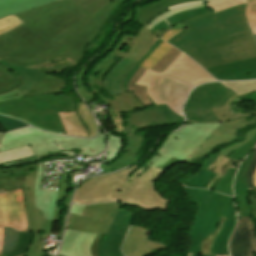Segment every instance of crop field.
Returning a JSON list of instances; mask_svg holds the SVG:
<instances>
[{"label":"crop field","instance_id":"1","mask_svg":"<svg viewBox=\"0 0 256 256\" xmlns=\"http://www.w3.org/2000/svg\"><path fill=\"white\" fill-rule=\"evenodd\" d=\"M125 0H60L16 14L24 23L0 36V59L15 66L48 58L76 64ZM21 83L0 65V94Z\"/></svg>","mask_w":256,"mask_h":256},{"label":"crop field","instance_id":"2","mask_svg":"<svg viewBox=\"0 0 256 256\" xmlns=\"http://www.w3.org/2000/svg\"><path fill=\"white\" fill-rule=\"evenodd\" d=\"M245 7L242 4L182 22L187 28L167 42L185 51L205 69L254 58L256 43L247 25Z\"/></svg>","mask_w":256,"mask_h":256},{"label":"crop field","instance_id":"3","mask_svg":"<svg viewBox=\"0 0 256 256\" xmlns=\"http://www.w3.org/2000/svg\"><path fill=\"white\" fill-rule=\"evenodd\" d=\"M220 123L185 124L178 131L169 133L150 160L157 166L150 167L136 180L126 184L118 194L119 201L145 210L165 209L169 199H163L161 193L156 191V178L170 166L190 155Z\"/></svg>","mask_w":256,"mask_h":256},{"label":"crop field","instance_id":"4","mask_svg":"<svg viewBox=\"0 0 256 256\" xmlns=\"http://www.w3.org/2000/svg\"><path fill=\"white\" fill-rule=\"evenodd\" d=\"M43 165L44 163L39 165L38 171L30 173L22 187L28 219V231L34 232L32 244L23 254L25 256H47L43 252V239L47 238L48 235L54 234L56 235L55 239L60 240L64 229L66 216L62 220L61 232H51L53 223L58 221L62 210L57 203L63 198L68 189L67 176L61 175L59 191L39 190ZM72 191L68 193V197L63 202L66 208H68Z\"/></svg>","mask_w":256,"mask_h":256},{"label":"crop field","instance_id":"5","mask_svg":"<svg viewBox=\"0 0 256 256\" xmlns=\"http://www.w3.org/2000/svg\"><path fill=\"white\" fill-rule=\"evenodd\" d=\"M76 111L68 95H43L24 98L16 89L0 95V113L25 121L48 132L65 134L57 112Z\"/></svg>","mask_w":256,"mask_h":256},{"label":"crop field","instance_id":"6","mask_svg":"<svg viewBox=\"0 0 256 256\" xmlns=\"http://www.w3.org/2000/svg\"><path fill=\"white\" fill-rule=\"evenodd\" d=\"M27 144L30 145L36 157L33 156L34 158L5 163L3 166L38 160L51 153H71L94 156L104 151V136L99 133V137L95 139L82 140L43 133L33 128H25L5 134L0 145V152Z\"/></svg>","mask_w":256,"mask_h":256},{"label":"crop field","instance_id":"7","mask_svg":"<svg viewBox=\"0 0 256 256\" xmlns=\"http://www.w3.org/2000/svg\"><path fill=\"white\" fill-rule=\"evenodd\" d=\"M209 0H159L136 8V22L158 37L169 29L185 28L180 22L211 12L205 6Z\"/></svg>","mask_w":256,"mask_h":256},{"label":"crop field","instance_id":"8","mask_svg":"<svg viewBox=\"0 0 256 256\" xmlns=\"http://www.w3.org/2000/svg\"><path fill=\"white\" fill-rule=\"evenodd\" d=\"M141 164L142 162H139L121 171L85 181L77 190L73 203L93 204L105 201L119 202L117 199L119 190L132 179L129 178L130 175Z\"/></svg>","mask_w":256,"mask_h":256},{"label":"crop field","instance_id":"9","mask_svg":"<svg viewBox=\"0 0 256 256\" xmlns=\"http://www.w3.org/2000/svg\"><path fill=\"white\" fill-rule=\"evenodd\" d=\"M234 94L219 82L198 86L191 91L184 106L187 123L218 121L211 108L222 107Z\"/></svg>","mask_w":256,"mask_h":256},{"label":"crop field","instance_id":"10","mask_svg":"<svg viewBox=\"0 0 256 256\" xmlns=\"http://www.w3.org/2000/svg\"><path fill=\"white\" fill-rule=\"evenodd\" d=\"M126 122L128 125L122 128L129 133L125 135L128 146L124 149L122 156L111 164L115 171L142 158L137 154L143 147L144 139L143 136L136 135L137 130L166 125L151 108L127 113Z\"/></svg>","mask_w":256,"mask_h":256},{"label":"crop field","instance_id":"11","mask_svg":"<svg viewBox=\"0 0 256 256\" xmlns=\"http://www.w3.org/2000/svg\"><path fill=\"white\" fill-rule=\"evenodd\" d=\"M191 202L198 205L195 221L188 233L189 236L204 240L214 232L221 217L215 216L218 193L185 188Z\"/></svg>","mask_w":256,"mask_h":256},{"label":"crop field","instance_id":"12","mask_svg":"<svg viewBox=\"0 0 256 256\" xmlns=\"http://www.w3.org/2000/svg\"><path fill=\"white\" fill-rule=\"evenodd\" d=\"M155 35L146 29H142L132 49L126 56L108 73L104 87L112 94L122 93L121 81L126 73L138 62L145 51L150 48L157 39Z\"/></svg>","mask_w":256,"mask_h":256},{"label":"crop field","instance_id":"13","mask_svg":"<svg viewBox=\"0 0 256 256\" xmlns=\"http://www.w3.org/2000/svg\"><path fill=\"white\" fill-rule=\"evenodd\" d=\"M120 57L113 54H109L91 73L88 81L91 85L92 92L96 93L100 97V100L112 106L115 110L119 112H129L135 111L142 108V106L133 96L132 92H127L123 94L112 95L114 100L103 97L99 90L103 89V74L108 71L111 66L119 60Z\"/></svg>","mask_w":256,"mask_h":256},{"label":"crop field","instance_id":"14","mask_svg":"<svg viewBox=\"0 0 256 256\" xmlns=\"http://www.w3.org/2000/svg\"><path fill=\"white\" fill-rule=\"evenodd\" d=\"M0 64L7 67L13 73H15L22 81L17 90L25 97L28 92L47 74L45 72H57L64 71L70 63L67 60L52 64L48 59L42 60L38 63L29 64L25 66L15 67L9 63L0 60Z\"/></svg>","mask_w":256,"mask_h":256},{"label":"crop field","instance_id":"15","mask_svg":"<svg viewBox=\"0 0 256 256\" xmlns=\"http://www.w3.org/2000/svg\"><path fill=\"white\" fill-rule=\"evenodd\" d=\"M193 87L160 74L152 87V91L160 104L166 103L173 111L182 116L181 107Z\"/></svg>","mask_w":256,"mask_h":256},{"label":"crop field","instance_id":"16","mask_svg":"<svg viewBox=\"0 0 256 256\" xmlns=\"http://www.w3.org/2000/svg\"><path fill=\"white\" fill-rule=\"evenodd\" d=\"M0 226L27 231L22 189L0 194Z\"/></svg>","mask_w":256,"mask_h":256},{"label":"crop field","instance_id":"17","mask_svg":"<svg viewBox=\"0 0 256 256\" xmlns=\"http://www.w3.org/2000/svg\"><path fill=\"white\" fill-rule=\"evenodd\" d=\"M162 73L194 86L216 80L182 53Z\"/></svg>","mask_w":256,"mask_h":256},{"label":"crop field","instance_id":"18","mask_svg":"<svg viewBox=\"0 0 256 256\" xmlns=\"http://www.w3.org/2000/svg\"><path fill=\"white\" fill-rule=\"evenodd\" d=\"M149 231L153 230L138 226H131L122 246L124 255L147 256L164 251L165 246L163 244L148 240L149 236L146 234Z\"/></svg>","mask_w":256,"mask_h":256},{"label":"crop field","instance_id":"19","mask_svg":"<svg viewBox=\"0 0 256 256\" xmlns=\"http://www.w3.org/2000/svg\"><path fill=\"white\" fill-rule=\"evenodd\" d=\"M255 124L256 115L242 119L222 122L199 146V148H203L213 152L217 146L237 140V131L243 130L248 125H251V127H253Z\"/></svg>","mask_w":256,"mask_h":256},{"label":"crop field","instance_id":"20","mask_svg":"<svg viewBox=\"0 0 256 256\" xmlns=\"http://www.w3.org/2000/svg\"><path fill=\"white\" fill-rule=\"evenodd\" d=\"M238 218L241 221H238L230 239V254L231 256H252V251L256 252V232L253 227V221L249 218Z\"/></svg>","mask_w":256,"mask_h":256},{"label":"crop field","instance_id":"21","mask_svg":"<svg viewBox=\"0 0 256 256\" xmlns=\"http://www.w3.org/2000/svg\"><path fill=\"white\" fill-rule=\"evenodd\" d=\"M238 164L239 161L228 159L220 155L208 168V170L219 175L207 184L206 189L233 196L232 181Z\"/></svg>","mask_w":256,"mask_h":256},{"label":"crop field","instance_id":"22","mask_svg":"<svg viewBox=\"0 0 256 256\" xmlns=\"http://www.w3.org/2000/svg\"><path fill=\"white\" fill-rule=\"evenodd\" d=\"M207 71L221 80L256 79V58L215 66Z\"/></svg>","mask_w":256,"mask_h":256},{"label":"crop field","instance_id":"23","mask_svg":"<svg viewBox=\"0 0 256 256\" xmlns=\"http://www.w3.org/2000/svg\"><path fill=\"white\" fill-rule=\"evenodd\" d=\"M96 235L66 229L61 253L69 256H91L90 247Z\"/></svg>","mask_w":256,"mask_h":256},{"label":"crop field","instance_id":"24","mask_svg":"<svg viewBox=\"0 0 256 256\" xmlns=\"http://www.w3.org/2000/svg\"><path fill=\"white\" fill-rule=\"evenodd\" d=\"M129 226L113 221L106 233L107 236L98 245L99 256H123L120 246Z\"/></svg>","mask_w":256,"mask_h":256},{"label":"crop field","instance_id":"25","mask_svg":"<svg viewBox=\"0 0 256 256\" xmlns=\"http://www.w3.org/2000/svg\"><path fill=\"white\" fill-rule=\"evenodd\" d=\"M253 152L254 150L251 151L240 164L234 183L236 211H240V216L249 218H251V212L246 198L248 195V190L245 182V174L250 164Z\"/></svg>","mask_w":256,"mask_h":256},{"label":"crop field","instance_id":"26","mask_svg":"<svg viewBox=\"0 0 256 256\" xmlns=\"http://www.w3.org/2000/svg\"><path fill=\"white\" fill-rule=\"evenodd\" d=\"M121 206L123 205H119L115 202H106L87 206H78L73 204L70 213L80 216L111 220Z\"/></svg>","mask_w":256,"mask_h":256},{"label":"crop field","instance_id":"27","mask_svg":"<svg viewBox=\"0 0 256 256\" xmlns=\"http://www.w3.org/2000/svg\"><path fill=\"white\" fill-rule=\"evenodd\" d=\"M235 224H236V212L233 207V198H232L223 227L212 244L211 251H210L211 254L229 255L228 249H227V241L235 227Z\"/></svg>","mask_w":256,"mask_h":256},{"label":"crop field","instance_id":"28","mask_svg":"<svg viewBox=\"0 0 256 256\" xmlns=\"http://www.w3.org/2000/svg\"><path fill=\"white\" fill-rule=\"evenodd\" d=\"M111 221L69 215L68 229L84 231L94 234H105Z\"/></svg>","mask_w":256,"mask_h":256},{"label":"crop field","instance_id":"29","mask_svg":"<svg viewBox=\"0 0 256 256\" xmlns=\"http://www.w3.org/2000/svg\"><path fill=\"white\" fill-rule=\"evenodd\" d=\"M56 0H0V18Z\"/></svg>","mask_w":256,"mask_h":256},{"label":"crop field","instance_id":"30","mask_svg":"<svg viewBox=\"0 0 256 256\" xmlns=\"http://www.w3.org/2000/svg\"><path fill=\"white\" fill-rule=\"evenodd\" d=\"M66 84V81L58 76L47 75L32 89L30 93H28L26 97L61 92Z\"/></svg>","mask_w":256,"mask_h":256},{"label":"crop field","instance_id":"31","mask_svg":"<svg viewBox=\"0 0 256 256\" xmlns=\"http://www.w3.org/2000/svg\"><path fill=\"white\" fill-rule=\"evenodd\" d=\"M58 114L66 129L67 135L89 137L88 132L77 112H62Z\"/></svg>","mask_w":256,"mask_h":256},{"label":"crop field","instance_id":"32","mask_svg":"<svg viewBox=\"0 0 256 256\" xmlns=\"http://www.w3.org/2000/svg\"><path fill=\"white\" fill-rule=\"evenodd\" d=\"M233 102L242 103V101L235 94L233 97L229 98V100L224 104L222 108L212 109L215 116L219 119V121L237 119V118H242V117L256 114V113H252V114L235 113L231 111L230 107H234L232 106Z\"/></svg>","mask_w":256,"mask_h":256},{"label":"crop field","instance_id":"33","mask_svg":"<svg viewBox=\"0 0 256 256\" xmlns=\"http://www.w3.org/2000/svg\"><path fill=\"white\" fill-rule=\"evenodd\" d=\"M146 68L140 67L136 73L132 76L130 83L128 85V91H132L136 99L144 106L152 105V102L148 98L144 86L135 84L141 75L145 72Z\"/></svg>","mask_w":256,"mask_h":256},{"label":"crop field","instance_id":"34","mask_svg":"<svg viewBox=\"0 0 256 256\" xmlns=\"http://www.w3.org/2000/svg\"><path fill=\"white\" fill-rule=\"evenodd\" d=\"M220 83L227 89H232L241 100L248 97L249 94L256 92V81Z\"/></svg>","mask_w":256,"mask_h":256},{"label":"crop field","instance_id":"35","mask_svg":"<svg viewBox=\"0 0 256 256\" xmlns=\"http://www.w3.org/2000/svg\"><path fill=\"white\" fill-rule=\"evenodd\" d=\"M30 147L27 145L18 149L0 153V165L5 162L18 161L26 158L33 157Z\"/></svg>","mask_w":256,"mask_h":256},{"label":"crop field","instance_id":"36","mask_svg":"<svg viewBox=\"0 0 256 256\" xmlns=\"http://www.w3.org/2000/svg\"><path fill=\"white\" fill-rule=\"evenodd\" d=\"M77 112L79 113L80 117L82 118L84 124L86 125L90 137L95 136L97 132V127L94 121V118L88 108L85 106L83 102L76 103ZM77 113V114H78Z\"/></svg>","mask_w":256,"mask_h":256},{"label":"crop field","instance_id":"37","mask_svg":"<svg viewBox=\"0 0 256 256\" xmlns=\"http://www.w3.org/2000/svg\"><path fill=\"white\" fill-rule=\"evenodd\" d=\"M153 111L167 124H174L184 122V118L174 113L166 104L160 105L153 109Z\"/></svg>","mask_w":256,"mask_h":256},{"label":"crop field","instance_id":"38","mask_svg":"<svg viewBox=\"0 0 256 256\" xmlns=\"http://www.w3.org/2000/svg\"><path fill=\"white\" fill-rule=\"evenodd\" d=\"M19 237V232L11 228H3V243L1 253L10 252L14 249Z\"/></svg>","mask_w":256,"mask_h":256},{"label":"crop field","instance_id":"39","mask_svg":"<svg viewBox=\"0 0 256 256\" xmlns=\"http://www.w3.org/2000/svg\"><path fill=\"white\" fill-rule=\"evenodd\" d=\"M217 174L212 173L208 170H200L197 174L193 176L190 182L187 184L189 187H197V188H204L210 180L214 179Z\"/></svg>","mask_w":256,"mask_h":256},{"label":"crop field","instance_id":"40","mask_svg":"<svg viewBox=\"0 0 256 256\" xmlns=\"http://www.w3.org/2000/svg\"><path fill=\"white\" fill-rule=\"evenodd\" d=\"M158 75H159V73L147 69L146 72L142 75V77L137 82V84L146 86V91H147L151 101L156 106H158L160 104L157 102V100L153 96L152 91H151V86H152L153 82L155 81V79L158 77Z\"/></svg>","mask_w":256,"mask_h":256},{"label":"crop field","instance_id":"41","mask_svg":"<svg viewBox=\"0 0 256 256\" xmlns=\"http://www.w3.org/2000/svg\"><path fill=\"white\" fill-rule=\"evenodd\" d=\"M108 133V155L106 158V163H108L110 160L114 159L118 153L120 152V149L122 147V138L117 135H112L111 131Z\"/></svg>","mask_w":256,"mask_h":256},{"label":"crop field","instance_id":"42","mask_svg":"<svg viewBox=\"0 0 256 256\" xmlns=\"http://www.w3.org/2000/svg\"><path fill=\"white\" fill-rule=\"evenodd\" d=\"M171 47L172 46L163 41L140 66L151 69Z\"/></svg>","mask_w":256,"mask_h":256},{"label":"crop field","instance_id":"43","mask_svg":"<svg viewBox=\"0 0 256 256\" xmlns=\"http://www.w3.org/2000/svg\"><path fill=\"white\" fill-rule=\"evenodd\" d=\"M33 233H22L20 232L19 242L11 253L0 254V256H17L25 252L29 247L32 240Z\"/></svg>","mask_w":256,"mask_h":256},{"label":"crop field","instance_id":"44","mask_svg":"<svg viewBox=\"0 0 256 256\" xmlns=\"http://www.w3.org/2000/svg\"><path fill=\"white\" fill-rule=\"evenodd\" d=\"M26 176H7V177H0V189L4 188L5 191H11L19 189Z\"/></svg>","mask_w":256,"mask_h":256},{"label":"crop field","instance_id":"45","mask_svg":"<svg viewBox=\"0 0 256 256\" xmlns=\"http://www.w3.org/2000/svg\"><path fill=\"white\" fill-rule=\"evenodd\" d=\"M242 3H246V0H211L206 6L217 12Z\"/></svg>","mask_w":256,"mask_h":256},{"label":"crop field","instance_id":"46","mask_svg":"<svg viewBox=\"0 0 256 256\" xmlns=\"http://www.w3.org/2000/svg\"><path fill=\"white\" fill-rule=\"evenodd\" d=\"M180 53L181 52L172 47L152 70L161 73Z\"/></svg>","mask_w":256,"mask_h":256},{"label":"crop field","instance_id":"47","mask_svg":"<svg viewBox=\"0 0 256 256\" xmlns=\"http://www.w3.org/2000/svg\"><path fill=\"white\" fill-rule=\"evenodd\" d=\"M162 40L159 38L154 42V44L151 46V48L145 53V55L139 60V62L129 71V73L126 75L122 82V88L123 91H127V84L131 78V76L135 73V71L138 69L139 65L152 53L154 49H156L160 44Z\"/></svg>","mask_w":256,"mask_h":256},{"label":"crop field","instance_id":"48","mask_svg":"<svg viewBox=\"0 0 256 256\" xmlns=\"http://www.w3.org/2000/svg\"><path fill=\"white\" fill-rule=\"evenodd\" d=\"M135 38L136 37L125 34L112 53L123 58L124 55L130 50Z\"/></svg>","mask_w":256,"mask_h":256},{"label":"crop field","instance_id":"49","mask_svg":"<svg viewBox=\"0 0 256 256\" xmlns=\"http://www.w3.org/2000/svg\"><path fill=\"white\" fill-rule=\"evenodd\" d=\"M36 167H37V163L26 165V166H20V167H16V168H11V169H4V167L1 166L0 176L27 175L29 171L36 170Z\"/></svg>","mask_w":256,"mask_h":256},{"label":"crop field","instance_id":"50","mask_svg":"<svg viewBox=\"0 0 256 256\" xmlns=\"http://www.w3.org/2000/svg\"><path fill=\"white\" fill-rule=\"evenodd\" d=\"M256 134V125L251 128V131L248 132L246 138L244 140H242L239 143L236 144H232L231 146L227 147L226 149H222L223 151L219 152L218 154H222L224 156H229L231 153H233L234 151H236L237 149H239L240 147H242L244 144H246L247 142H249L251 140V138Z\"/></svg>","mask_w":256,"mask_h":256},{"label":"crop field","instance_id":"51","mask_svg":"<svg viewBox=\"0 0 256 256\" xmlns=\"http://www.w3.org/2000/svg\"><path fill=\"white\" fill-rule=\"evenodd\" d=\"M97 58H95L89 65H87L78 75L77 81H78V89L80 91V93L82 94V96L84 97V99L87 101L90 100H94L95 98L89 93V91H87V89L84 87V83H83V77L85 75V73L87 72V70L90 68V66L94 63V61Z\"/></svg>","mask_w":256,"mask_h":256},{"label":"crop field","instance_id":"52","mask_svg":"<svg viewBox=\"0 0 256 256\" xmlns=\"http://www.w3.org/2000/svg\"><path fill=\"white\" fill-rule=\"evenodd\" d=\"M0 125L8 132L17 130L23 127H27L28 125L23 122H19L14 119H10L7 117L0 116Z\"/></svg>","mask_w":256,"mask_h":256},{"label":"crop field","instance_id":"53","mask_svg":"<svg viewBox=\"0 0 256 256\" xmlns=\"http://www.w3.org/2000/svg\"><path fill=\"white\" fill-rule=\"evenodd\" d=\"M209 153H212V152L197 148L196 150H194L192 152V154L190 156L186 157L181 162H188V163H190L192 165L199 166L201 159H203L206 156H208Z\"/></svg>","mask_w":256,"mask_h":256},{"label":"crop field","instance_id":"54","mask_svg":"<svg viewBox=\"0 0 256 256\" xmlns=\"http://www.w3.org/2000/svg\"><path fill=\"white\" fill-rule=\"evenodd\" d=\"M23 23L14 15L0 19V35Z\"/></svg>","mask_w":256,"mask_h":256},{"label":"crop field","instance_id":"55","mask_svg":"<svg viewBox=\"0 0 256 256\" xmlns=\"http://www.w3.org/2000/svg\"><path fill=\"white\" fill-rule=\"evenodd\" d=\"M254 109H256V106L253 107ZM256 145V135L252 138V140L247 143L246 145H244L242 148H240L239 150H237L236 152H234L232 155H230L228 158H232L235 160H239L241 161L246 155L247 153Z\"/></svg>","mask_w":256,"mask_h":256},{"label":"crop field","instance_id":"56","mask_svg":"<svg viewBox=\"0 0 256 256\" xmlns=\"http://www.w3.org/2000/svg\"><path fill=\"white\" fill-rule=\"evenodd\" d=\"M255 168H256V148H255V153L252 157L251 164L246 174L247 187H248V190L250 191L255 190L254 183H253V173L255 171Z\"/></svg>","mask_w":256,"mask_h":256},{"label":"crop field","instance_id":"57","mask_svg":"<svg viewBox=\"0 0 256 256\" xmlns=\"http://www.w3.org/2000/svg\"><path fill=\"white\" fill-rule=\"evenodd\" d=\"M246 17L254 34H256V4L248 5Z\"/></svg>","mask_w":256,"mask_h":256},{"label":"crop field","instance_id":"58","mask_svg":"<svg viewBox=\"0 0 256 256\" xmlns=\"http://www.w3.org/2000/svg\"><path fill=\"white\" fill-rule=\"evenodd\" d=\"M230 199H231L230 197L220 194L216 215L223 216V217L226 216Z\"/></svg>","mask_w":256,"mask_h":256},{"label":"crop field","instance_id":"59","mask_svg":"<svg viewBox=\"0 0 256 256\" xmlns=\"http://www.w3.org/2000/svg\"><path fill=\"white\" fill-rule=\"evenodd\" d=\"M224 219L225 218H221L220 222H219V225L216 229V231L211 234L208 238H206L204 240V245H203V251H202V254H209V251H210V247H211V244L214 240V238L216 237V235L218 234V232L220 231L221 227H222V224L224 222Z\"/></svg>","mask_w":256,"mask_h":256},{"label":"crop field","instance_id":"60","mask_svg":"<svg viewBox=\"0 0 256 256\" xmlns=\"http://www.w3.org/2000/svg\"><path fill=\"white\" fill-rule=\"evenodd\" d=\"M133 216H134V213H132L128 210H123L121 208L117 212V214L114 216L113 220L130 224L131 221H132Z\"/></svg>","mask_w":256,"mask_h":256},{"label":"crop field","instance_id":"61","mask_svg":"<svg viewBox=\"0 0 256 256\" xmlns=\"http://www.w3.org/2000/svg\"><path fill=\"white\" fill-rule=\"evenodd\" d=\"M202 245L203 241L191 238V241L188 245V254L191 253H196V254H201L202 251Z\"/></svg>","mask_w":256,"mask_h":256},{"label":"crop field","instance_id":"62","mask_svg":"<svg viewBox=\"0 0 256 256\" xmlns=\"http://www.w3.org/2000/svg\"><path fill=\"white\" fill-rule=\"evenodd\" d=\"M131 15H132V10H131L130 13L128 14V16L126 17V19L124 20V22H123V21H122V22L125 23V22L129 21V20L131 19ZM123 23H122V25H123ZM120 25H121V24H120ZM122 25H121V27L119 26L120 29L118 30V32L116 33V35H115V36L113 37V39L111 40V42L109 43L108 47H107L100 55H98L97 58H99L100 56H102L105 52H107V51L112 47V45H113L115 39L118 37V35H119L120 32H121Z\"/></svg>","mask_w":256,"mask_h":256},{"label":"crop field","instance_id":"63","mask_svg":"<svg viewBox=\"0 0 256 256\" xmlns=\"http://www.w3.org/2000/svg\"><path fill=\"white\" fill-rule=\"evenodd\" d=\"M248 201L252 211V218L256 217V195L255 196H248Z\"/></svg>","mask_w":256,"mask_h":256},{"label":"crop field","instance_id":"64","mask_svg":"<svg viewBox=\"0 0 256 256\" xmlns=\"http://www.w3.org/2000/svg\"><path fill=\"white\" fill-rule=\"evenodd\" d=\"M101 237H102V235H97V237H96V239H95V241H94V243L92 245V248H91L92 256H98L97 255V244H98V242H99Z\"/></svg>","mask_w":256,"mask_h":256},{"label":"crop field","instance_id":"65","mask_svg":"<svg viewBox=\"0 0 256 256\" xmlns=\"http://www.w3.org/2000/svg\"><path fill=\"white\" fill-rule=\"evenodd\" d=\"M181 30H169L161 38L167 41L168 39H170L172 36H174L176 33H178Z\"/></svg>","mask_w":256,"mask_h":256},{"label":"crop field","instance_id":"66","mask_svg":"<svg viewBox=\"0 0 256 256\" xmlns=\"http://www.w3.org/2000/svg\"><path fill=\"white\" fill-rule=\"evenodd\" d=\"M147 168L140 166L132 175L134 179H136L143 171H145Z\"/></svg>","mask_w":256,"mask_h":256},{"label":"crop field","instance_id":"67","mask_svg":"<svg viewBox=\"0 0 256 256\" xmlns=\"http://www.w3.org/2000/svg\"><path fill=\"white\" fill-rule=\"evenodd\" d=\"M218 154L212 155L204 164L203 168L207 169V167L218 157Z\"/></svg>","mask_w":256,"mask_h":256},{"label":"crop field","instance_id":"68","mask_svg":"<svg viewBox=\"0 0 256 256\" xmlns=\"http://www.w3.org/2000/svg\"><path fill=\"white\" fill-rule=\"evenodd\" d=\"M192 173V172H191ZM188 174V175H186V176H183V178H182V180H181V183H183L184 185H186L188 182H189V180L192 178V176H193V174Z\"/></svg>","mask_w":256,"mask_h":256},{"label":"crop field","instance_id":"69","mask_svg":"<svg viewBox=\"0 0 256 256\" xmlns=\"http://www.w3.org/2000/svg\"><path fill=\"white\" fill-rule=\"evenodd\" d=\"M1 242H2V228H0V250H1Z\"/></svg>","mask_w":256,"mask_h":256},{"label":"crop field","instance_id":"70","mask_svg":"<svg viewBox=\"0 0 256 256\" xmlns=\"http://www.w3.org/2000/svg\"><path fill=\"white\" fill-rule=\"evenodd\" d=\"M256 3V0H248V4Z\"/></svg>","mask_w":256,"mask_h":256},{"label":"crop field","instance_id":"71","mask_svg":"<svg viewBox=\"0 0 256 256\" xmlns=\"http://www.w3.org/2000/svg\"><path fill=\"white\" fill-rule=\"evenodd\" d=\"M254 182H255V186H256V171L254 173Z\"/></svg>","mask_w":256,"mask_h":256},{"label":"crop field","instance_id":"72","mask_svg":"<svg viewBox=\"0 0 256 256\" xmlns=\"http://www.w3.org/2000/svg\"><path fill=\"white\" fill-rule=\"evenodd\" d=\"M189 256H211V255H189Z\"/></svg>","mask_w":256,"mask_h":256},{"label":"crop field","instance_id":"73","mask_svg":"<svg viewBox=\"0 0 256 256\" xmlns=\"http://www.w3.org/2000/svg\"><path fill=\"white\" fill-rule=\"evenodd\" d=\"M75 65L74 64H72L69 68H67L66 69V71L68 70V69H70V68H72V67H74Z\"/></svg>","mask_w":256,"mask_h":256},{"label":"crop field","instance_id":"74","mask_svg":"<svg viewBox=\"0 0 256 256\" xmlns=\"http://www.w3.org/2000/svg\"><path fill=\"white\" fill-rule=\"evenodd\" d=\"M2 136H3V134H0V141H1Z\"/></svg>","mask_w":256,"mask_h":256},{"label":"crop field","instance_id":"75","mask_svg":"<svg viewBox=\"0 0 256 256\" xmlns=\"http://www.w3.org/2000/svg\"><path fill=\"white\" fill-rule=\"evenodd\" d=\"M0 192H4V189H1Z\"/></svg>","mask_w":256,"mask_h":256},{"label":"crop field","instance_id":"76","mask_svg":"<svg viewBox=\"0 0 256 256\" xmlns=\"http://www.w3.org/2000/svg\"><path fill=\"white\" fill-rule=\"evenodd\" d=\"M58 256H65V255L58 254Z\"/></svg>","mask_w":256,"mask_h":256},{"label":"crop field","instance_id":"77","mask_svg":"<svg viewBox=\"0 0 256 256\" xmlns=\"http://www.w3.org/2000/svg\"><path fill=\"white\" fill-rule=\"evenodd\" d=\"M255 36V38H256V35H254Z\"/></svg>","mask_w":256,"mask_h":256},{"label":"crop field","instance_id":"78","mask_svg":"<svg viewBox=\"0 0 256 256\" xmlns=\"http://www.w3.org/2000/svg\"><path fill=\"white\" fill-rule=\"evenodd\" d=\"M21 256H23V255H21Z\"/></svg>","mask_w":256,"mask_h":256}]
</instances>
